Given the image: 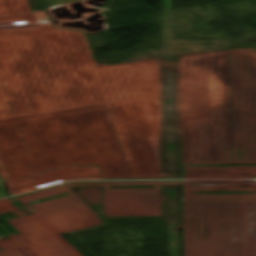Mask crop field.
<instances>
[{
	"mask_svg": "<svg viewBox=\"0 0 256 256\" xmlns=\"http://www.w3.org/2000/svg\"><path fill=\"white\" fill-rule=\"evenodd\" d=\"M144 2H146V1H150V0H143Z\"/></svg>",
	"mask_w": 256,
	"mask_h": 256,
	"instance_id": "1",
	"label": "crop field"
}]
</instances>
